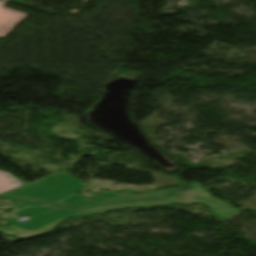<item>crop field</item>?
Wrapping results in <instances>:
<instances>
[{
    "mask_svg": "<svg viewBox=\"0 0 256 256\" xmlns=\"http://www.w3.org/2000/svg\"><path fill=\"white\" fill-rule=\"evenodd\" d=\"M5 3L7 1H0V38L5 37L14 28L13 26L26 16V14L3 8Z\"/></svg>",
    "mask_w": 256,
    "mask_h": 256,
    "instance_id": "crop-field-3",
    "label": "crop field"
},
{
    "mask_svg": "<svg viewBox=\"0 0 256 256\" xmlns=\"http://www.w3.org/2000/svg\"><path fill=\"white\" fill-rule=\"evenodd\" d=\"M174 189L176 188L163 189L144 195H134L130 193V190H125L122 194L102 192L101 195L94 200H86L83 197L75 194L69 198L64 199L58 204L37 208H25L17 211L16 215H29L32 218L25 224H21L17 222L16 219L10 218L8 219L9 226L7 228H0V232L6 235L16 236L20 239H26L30 237L45 235L56 225L70 217L98 214L108 210L125 207H150L170 203L190 204L194 202H200L210 207L214 215L222 219H226L233 212L239 211L230 207L228 204L210 196L197 183L187 184L177 189L174 194L169 197L80 210L84 208L167 195L172 193Z\"/></svg>",
    "mask_w": 256,
    "mask_h": 256,
    "instance_id": "crop-field-1",
    "label": "crop field"
},
{
    "mask_svg": "<svg viewBox=\"0 0 256 256\" xmlns=\"http://www.w3.org/2000/svg\"><path fill=\"white\" fill-rule=\"evenodd\" d=\"M86 186V184L60 171L33 183L2 193L0 197L19 202L25 206H35L57 202Z\"/></svg>",
    "mask_w": 256,
    "mask_h": 256,
    "instance_id": "crop-field-2",
    "label": "crop field"
},
{
    "mask_svg": "<svg viewBox=\"0 0 256 256\" xmlns=\"http://www.w3.org/2000/svg\"><path fill=\"white\" fill-rule=\"evenodd\" d=\"M22 185L13 175L0 170V193Z\"/></svg>",
    "mask_w": 256,
    "mask_h": 256,
    "instance_id": "crop-field-4",
    "label": "crop field"
}]
</instances>
